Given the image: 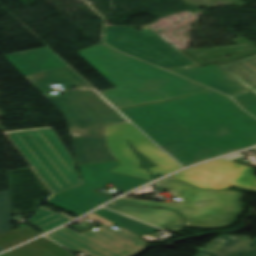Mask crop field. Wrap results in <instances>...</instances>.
Instances as JSON below:
<instances>
[{"mask_svg": "<svg viewBox=\"0 0 256 256\" xmlns=\"http://www.w3.org/2000/svg\"><path fill=\"white\" fill-rule=\"evenodd\" d=\"M154 185L158 192L168 188L174 196L180 197L181 201L190 203L166 204L121 198L113 203L165 209L116 204L106 207L174 233L183 229V221L179 214L166 208L180 212L185 218V226L199 228H218L232 224L242 209L238 202L244 193L203 190L170 177Z\"/></svg>", "mask_w": 256, "mask_h": 256, "instance_id": "obj_2", "label": "crop field"}, {"mask_svg": "<svg viewBox=\"0 0 256 256\" xmlns=\"http://www.w3.org/2000/svg\"><path fill=\"white\" fill-rule=\"evenodd\" d=\"M120 111L183 166L256 144V119L213 91Z\"/></svg>", "mask_w": 256, "mask_h": 256, "instance_id": "obj_1", "label": "crop field"}, {"mask_svg": "<svg viewBox=\"0 0 256 256\" xmlns=\"http://www.w3.org/2000/svg\"><path fill=\"white\" fill-rule=\"evenodd\" d=\"M26 78L40 91L50 90L46 85L49 83H61L64 89H70L71 86L75 85L80 88H91L69 67L27 76Z\"/></svg>", "mask_w": 256, "mask_h": 256, "instance_id": "obj_15", "label": "crop field"}, {"mask_svg": "<svg viewBox=\"0 0 256 256\" xmlns=\"http://www.w3.org/2000/svg\"><path fill=\"white\" fill-rule=\"evenodd\" d=\"M153 191H152V189H151V187H150V185L149 186H147V187H145V188H143V189H140V190H138V191H136V192H133V193H131V194H139V193H152Z\"/></svg>", "mask_w": 256, "mask_h": 256, "instance_id": "obj_25", "label": "crop field"}, {"mask_svg": "<svg viewBox=\"0 0 256 256\" xmlns=\"http://www.w3.org/2000/svg\"><path fill=\"white\" fill-rule=\"evenodd\" d=\"M38 235L40 234L29 226H22L20 228L0 234V248L2 250H6Z\"/></svg>", "mask_w": 256, "mask_h": 256, "instance_id": "obj_20", "label": "crop field"}, {"mask_svg": "<svg viewBox=\"0 0 256 256\" xmlns=\"http://www.w3.org/2000/svg\"><path fill=\"white\" fill-rule=\"evenodd\" d=\"M71 219L60 215L54 211H51L43 206L36 210L32 217L29 219V223L36 227L41 232L45 233L55 227H58Z\"/></svg>", "mask_w": 256, "mask_h": 256, "instance_id": "obj_19", "label": "crop field"}, {"mask_svg": "<svg viewBox=\"0 0 256 256\" xmlns=\"http://www.w3.org/2000/svg\"><path fill=\"white\" fill-rule=\"evenodd\" d=\"M105 42L162 68L197 66L147 26L143 27V32H136L133 27L107 26Z\"/></svg>", "mask_w": 256, "mask_h": 256, "instance_id": "obj_8", "label": "crop field"}, {"mask_svg": "<svg viewBox=\"0 0 256 256\" xmlns=\"http://www.w3.org/2000/svg\"><path fill=\"white\" fill-rule=\"evenodd\" d=\"M12 229L8 192L0 193V233ZM1 251V249H0Z\"/></svg>", "mask_w": 256, "mask_h": 256, "instance_id": "obj_22", "label": "crop field"}, {"mask_svg": "<svg viewBox=\"0 0 256 256\" xmlns=\"http://www.w3.org/2000/svg\"><path fill=\"white\" fill-rule=\"evenodd\" d=\"M96 93L79 90L47 97L67 118L78 164L116 160L106 145L104 125L129 122Z\"/></svg>", "mask_w": 256, "mask_h": 256, "instance_id": "obj_3", "label": "crop field"}, {"mask_svg": "<svg viewBox=\"0 0 256 256\" xmlns=\"http://www.w3.org/2000/svg\"><path fill=\"white\" fill-rule=\"evenodd\" d=\"M47 236L75 253L85 251L93 256H130L147 245L123 229L111 232L104 227L82 234L64 227Z\"/></svg>", "mask_w": 256, "mask_h": 256, "instance_id": "obj_9", "label": "crop field"}, {"mask_svg": "<svg viewBox=\"0 0 256 256\" xmlns=\"http://www.w3.org/2000/svg\"><path fill=\"white\" fill-rule=\"evenodd\" d=\"M89 61L117 89L101 93L117 108L165 101L141 83L121 64L132 59L103 44L77 52Z\"/></svg>", "mask_w": 256, "mask_h": 256, "instance_id": "obj_6", "label": "crop field"}, {"mask_svg": "<svg viewBox=\"0 0 256 256\" xmlns=\"http://www.w3.org/2000/svg\"><path fill=\"white\" fill-rule=\"evenodd\" d=\"M123 66L141 82L167 100L208 90L203 86L174 76L136 59L124 63Z\"/></svg>", "mask_w": 256, "mask_h": 256, "instance_id": "obj_10", "label": "crop field"}, {"mask_svg": "<svg viewBox=\"0 0 256 256\" xmlns=\"http://www.w3.org/2000/svg\"><path fill=\"white\" fill-rule=\"evenodd\" d=\"M95 213L138 236L161 230L105 208Z\"/></svg>", "mask_w": 256, "mask_h": 256, "instance_id": "obj_18", "label": "crop field"}, {"mask_svg": "<svg viewBox=\"0 0 256 256\" xmlns=\"http://www.w3.org/2000/svg\"><path fill=\"white\" fill-rule=\"evenodd\" d=\"M6 254L9 256H73L44 237L7 252Z\"/></svg>", "mask_w": 256, "mask_h": 256, "instance_id": "obj_17", "label": "crop field"}, {"mask_svg": "<svg viewBox=\"0 0 256 256\" xmlns=\"http://www.w3.org/2000/svg\"><path fill=\"white\" fill-rule=\"evenodd\" d=\"M171 177L177 178L179 180L191 183L193 185L209 188V189H228L230 186L219 183L217 181L208 179L206 177L200 176L198 174L192 173L190 171L184 170L178 174H175Z\"/></svg>", "mask_w": 256, "mask_h": 256, "instance_id": "obj_21", "label": "crop field"}, {"mask_svg": "<svg viewBox=\"0 0 256 256\" xmlns=\"http://www.w3.org/2000/svg\"><path fill=\"white\" fill-rule=\"evenodd\" d=\"M107 144L121 165L110 170L153 180L181 167L131 123L105 126Z\"/></svg>", "mask_w": 256, "mask_h": 256, "instance_id": "obj_5", "label": "crop field"}, {"mask_svg": "<svg viewBox=\"0 0 256 256\" xmlns=\"http://www.w3.org/2000/svg\"><path fill=\"white\" fill-rule=\"evenodd\" d=\"M233 99L239 103L247 112L256 117V95L251 91L243 92Z\"/></svg>", "mask_w": 256, "mask_h": 256, "instance_id": "obj_23", "label": "crop field"}, {"mask_svg": "<svg viewBox=\"0 0 256 256\" xmlns=\"http://www.w3.org/2000/svg\"><path fill=\"white\" fill-rule=\"evenodd\" d=\"M4 57L24 76L67 66L47 48L5 55Z\"/></svg>", "mask_w": 256, "mask_h": 256, "instance_id": "obj_13", "label": "crop field"}, {"mask_svg": "<svg viewBox=\"0 0 256 256\" xmlns=\"http://www.w3.org/2000/svg\"><path fill=\"white\" fill-rule=\"evenodd\" d=\"M221 68L256 94V55Z\"/></svg>", "mask_w": 256, "mask_h": 256, "instance_id": "obj_16", "label": "crop field"}, {"mask_svg": "<svg viewBox=\"0 0 256 256\" xmlns=\"http://www.w3.org/2000/svg\"><path fill=\"white\" fill-rule=\"evenodd\" d=\"M256 241L245 236L221 235L198 250L195 256H256Z\"/></svg>", "mask_w": 256, "mask_h": 256, "instance_id": "obj_14", "label": "crop field"}, {"mask_svg": "<svg viewBox=\"0 0 256 256\" xmlns=\"http://www.w3.org/2000/svg\"><path fill=\"white\" fill-rule=\"evenodd\" d=\"M5 133L54 193L81 184L74 161L51 127Z\"/></svg>", "mask_w": 256, "mask_h": 256, "instance_id": "obj_4", "label": "crop field"}, {"mask_svg": "<svg viewBox=\"0 0 256 256\" xmlns=\"http://www.w3.org/2000/svg\"><path fill=\"white\" fill-rule=\"evenodd\" d=\"M118 161L78 165L83 185L55 194L47 204L75 215H81L109 200L92 190L110 182L126 191L149 182L140 178L108 172Z\"/></svg>", "mask_w": 256, "mask_h": 256, "instance_id": "obj_7", "label": "crop field"}, {"mask_svg": "<svg viewBox=\"0 0 256 256\" xmlns=\"http://www.w3.org/2000/svg\"><path fill=\"white\" fill-rule=\"evenodd\" d=\"M171 70L179 75L188 79L207 85L217 91L234 96L248 89L240 82L230 77L216 64L206 67H184V68H171Z\"/></svg>", "mask_w": 256, "mask_h": 256, "instance_id": "obj_12", "label": "crop field"}, {"mask_svg": "<svg viewBox=\"0 0 256 256\" xmlns=\"http://www.w3.org/2000/svg\"><path fill=\"white\" fill-rule=\"evenodd\" d=\"M88 217H90V218H92V219H94V220H96V221H98V222H100V223H102V224H104L106 226L114 224V223H112V222H110V221H108V220H106V219H104V218L94 214V213L89 215Z\"/></svg>", "mask_w": 256, "mask_h": 256, "instance_id": "obj_24", "label": "crop field"}, {"mask_svg": "<svg viewBox=\"0 0 256 256\" xmlns=\"http://www.w3.org/2000/svg\"><path fill=\"white\" fill-rule=\"evenodd\" d=\"M227 185H234L256 191L254 169L223 159L187 169Z\"/></svg>", "mask_w": 256, "mask_h": 256, "instance_id": "obj_11", "label": "crop field"}]
</instances>
